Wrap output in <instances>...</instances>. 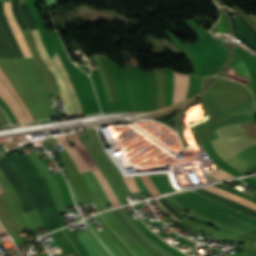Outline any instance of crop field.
<instances>
[{"mask_svg":"<svg viewBox=\"0 0 256 256\" xmlns=\"http://www.w3.org/2000/svg\"><path fill=\"white\" fill-rule=\"evenodd\" d=\"M215 131L219 138L210 142L225 162L256 143L255 121L223 126Z\"/></svg>","mask_w":256,"mask_h":256,"instance_id":"crop-field-1","label":"crop field"},{"mask_svg":"<svg viewBox=\"0 0 256 256\" xmlns=\"http://www.w3.org/2000/svg\"><path fill=\"white\" fill-rule=\"evenodd\" d=\"M31 32L34 36L36 47H37V50H38L42 60L45 62V64L49 67V69L52 71V73L56 77L57 83L59 85L61 97H62L63 103L65 105V108H66L67 115L68 116H74L73 110H72V107H71V103H70L66 88L64 86L62 77H61L57 67L54 65V63L52 62V60L48 56V54H47V52H46V50H45V48L42 44L41 37H40V34H39V30L36 29V30H32Z\"/></svg>","mask_w":256,"mask_h":256,"instance_id":"crop-field-2","label":"crop field"},{"mask_svg":"<svg viewBox=\"0 0 256 256\" xmlns=\"http://www.w3.org/2000/svg\"><path fill=\"white\" fill-rule=\"evenodd\" d=\"M4 13L6 15V18L8 20L9 26L11 28V31L24 55V57H33L27 42L23 36V34L21 33L13 15H12V11H11V2H4Z\"/></svg>","mask_w":256,"mask_h":256,"instance_id":"crop-field-3","label":"crop field"},{"mask_svg":"<svg viewBox=\"0 0 256 256\" xmlns=\"http://www.w3.org/2000/svg\"><path fill=\"white\" fill-rule=\"evenodd\" d=\"M0 98L6 103V105L12 110L18 123L28 122L22 109L19 107L15 99L6 89L2 81L0 80Z\"/></svg>","mask_w":256,"mask_h":256,"instance_id":"crop-field-4","label":"crop field"},{"mask_svg":"<svg viewBox=\"0 0 256 256\" xmlns=\"http://www.w3.org/2000/svg\"><path fill=\"white\" fill-rule=\"evenodd\" d=\"M52 60L54 61V63L56 64V66L58 67V69L60 70L61 74H62V77L64 79V82L66 84V87L68 89V92H69V96H70V99H71V102H72V106H73V110H74V114L75 115H79V114H82V109L80 107V104L78 102V99L76 97V94L74 92V89L71 85V82L69 80V77L57 55V53L53 56Z\"/></svg>","mask_w":256,"mask_h":256,"instance_id":"crop-field-5","label":"crop field"},{"mask_svg":"<svg viewBox=\"0 0 256 256\" xmlns=\"http://www.w3.org/2000/svg\"><path fill=\"white\" fill-rule=\"evenodd\" d=\"M233 22L237 37L256 52V35L241 21L240 18Z\"/></svg>","mask_w":256,"mask_h":256,"instance_id":"crop-field-6","label":"crop field"},{"mask_svg":"<svg viewBox=\"0 0 256 256\" xmlns=\"http://www.w3.org/2000/svg\"><path fill=\"white\" fill-rule=\"evenodd\" d=\"M189 76L174 72V94L172 105L186 99Z\"/></svg>","mask_w":256,"mask_h":256,"instance_id":"crop-field-7","label":"crop field"},{"mask_svg":"<svg viewBox=\"0 0 256 256\" xmlns=\"http://www.w3.org/2000/svg\"><path fill=\"white\" fill-rule=\"evenodd\" d=\"M59 140L66 149L67 153L74 160L79 173L90 171L89 166L87 165L81 154L78 152V150L75 148V146L70 147L64 137L59 138Z\"/></svg>","mask_w":256,"mask_h":256,"instance_id":"crop-field-8","label":"crop field"},{"mask_svg":"<svg viewBox=\"0 0 256 256\" xmlns=\"http://www.w3.org/2000/svg\"><path fill=\"white\" fill-rule=\"evenodd\" d=\"M203 188H205V189H207V190H210V191H212V192H214V193H217V194H219V195H222V196H224V197H226V198H229V199H231V200H233V201H236V202H239V203H241V204H244V205H246V206H248V207L253 208V209L256 210V204H255V203H252V202H249V201L244 200V199H242V198H239L240 196L237 197V196H235V195H233V194H231V193H228V192L223 191V190H221V189H219V188H215V187H211V186H209V187H203Z\"/></svg>","mask_w":256,"mask_h":256,"instance_id":"crop-field-9","label":"crop field"},{"mask_svg":"<svg viewBox=\"0 0 256 256\" xmlns=\"http://www.w3.org/2000/svg\"><path fill=\"white\" fill-rule=\"evenodd\" d=\"M0 77L2 78V80L4 81V83L6 84V86L9 88V90L11 91V93L13 94V96L15 97V99L18 101V103L21 105L23 111L25 112L27 118L29 119V121H33L29 112L27 111L24 103L22 102V100L20 99V97L18 96V94L16 93L15 89L13 88V86L11 85V83L9 82V80L7 79V77L5 76L4 72L2 71V69L0 68Z\"/></svg>","mask_w":256,"mask_h":256,"instance_id":"crop-field-10","label":"crop field"},{"mask_svg":"<svg viewBox=\"0 0 256 256\" xmlns=\"http://www.w3.org/2000/svg\"><path fill=\"white\" fill-rule=\"evenodd\" d=\"M230 69L234 73V75L241 77V78L250 79L247 68L244 65V63L242 62V60L239 61L238 63H236Z\"/></svg>","mask_w":256,"mask_h":256,"instance_id":"crop-field-11","label":"crop field"},{"mask_svg":"<svg viewBox=\"0 0 256 256\" xmlns=\"http://www.w3.org/2000/svg\"><path fill=\"white\" fill-rule=\"evenodd\" d=\"M237 157V156H236ZM234 157L232 160L226 162L228 163L230 166H232L233 168L237 169L240 172H244V170L247 168V166L249 164L243 162L242 160L238 159Z\"/></svg>","mask_w":256,"mask_h":256,"instance_id":"crop-field-12","label":"crop field"},{"mask_svg":"<svg viewBox=\"0 0 256 256\" xmlns=\"http://www.w3.org/2000/svg\"><path fill=\"white\" fill-rule=\"evenodd\" d=\"M211 176L222 180V179H226V178H233L234 176L228 174L227 172L223 171L222 169H218L216 172L210 174Z\"/></svg>","mask_w":256,"mask_h":256,"instance_id":"crop-field-13","label":"crop field"},{"mask_svg":"<svg viewBox=\"0 0 256 256\" xmlns=\"http://www.w3.org/2000/svg\"><path fill=\"white\" fill-rule=\"evenodd\" d=\"M5 230L3 229V227L0 225V233H4Z\"/></svg>","mask_w":256,"mask_h":256,"instance_id":"crop-field-14","label":"crop field"},{"mask_svg":"<svg viewBox=\"0 0 256 256\" xmlns=\"http://www.w3.org/2000/svg\"><path fill=\"white\" fill-rule=\"evenodd\" d=\"M157 202L160 204V202L157 200ZM161 205V204H160ZM162 206V205H161ZM162 208L164 209V207L162 206ZM167 211V210H166ZM168 212V211H167ZM169 213V212H168ZM170 214V213H169ZM171 215V214H170ZM171 216H173V215H171ZM174 217V216H173ZM175 218V217H174ZM176 219V218H175ZM176 220H178V219H176ZM179 221V220H178Z\"/></svg>","mask_w":256,"mask_h":256,"instance_id":"crop-field-15","label":"crop field"},{"mask_svg":"<svg viewBox=\"0 0 256 256\" xmlns=\"http://www.w3.org/2000/svg\"><path fill=\"white\" fill-rule=\"evenodd\" d=\"M211 1V0H210Z\"/></svg>","mask_w":256,"mask_h":256,"instance_id":"crop-field-16","label":"crop field"}]
</instances>
